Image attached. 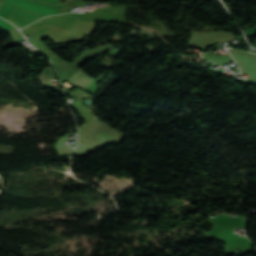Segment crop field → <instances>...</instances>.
Wrapping results in <instances>:
<instances>
[{
	"label": "crop field",
	"instance_id": "crop-field-1",
	"mask_svg": "<svg viewBox=\"0 0 256 256\" xmlns=\"http://www.w3.org/2000/svg\"><path fill=\"white\" fill-rule=\"evenodd\" d=\"M4 1L8 4L15 5L32 12L43 14L45 16L50 14H55L60 8L59 6L41 2V1H36V0H4Z\"/></svg>",
	"mask_w": 256,
	"mask_h": 256
}]
</instances>
